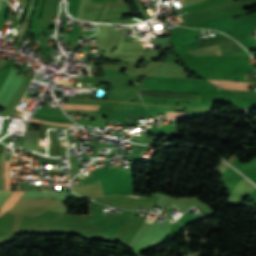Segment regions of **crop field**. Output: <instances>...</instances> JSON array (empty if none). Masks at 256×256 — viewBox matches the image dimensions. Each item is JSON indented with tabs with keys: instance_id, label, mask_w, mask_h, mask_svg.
Listing matches in <instances>:
<instances>
[{
	"instance_id": "1",
	"label": "crop field",
	"mask_w": 256,
	"mask_h": 256,
	"mask_svg": "<svg viewBox=\"0 0 256 256\" xmlns=\"http://www.w3.org/2000/svg\"><path fill=\"white\" fill-rule=\"evenodd\" d=\"M188 51L196 56L222 55L218 45L196 48V49H192V50H188Z\"/></svg>"
},
{
	"instance_id": "2",
	"label": "crop field",
	"mask_w": 256,
	"mask_h": 256,
	"mask_svg": "<svg viewBox=\"0 0 256 256\" xmlns=\"http://www.w3.org/2000/svg\"><path fill=\"white\" fill-rule=\"evenodd\" d=\"M210 81L218 84V86H221V87L241 88V89H246L247 84H250V83H244V82L215 81V80H210Z\"/></svg>"
},
{
	"instance_id": "3",
	"label": "crop field",
	"mask_w": 256,
	"mask_h": 256,
	"mask_svg": "<svg viewBox=\"0 0 256 256\" xmlns=\"http://www.w3.org/2000/svg\"><path fill=\"white\" fill-rule=\"evenodd\" d=\"M189 113H184V112H166L165 118H170V119H183V118H188Z\"/></svg>"
},
{
	"instance_id": "4",
	"label": "crop field",
	"mask_w": 256,
	"mask_h": 256,
	"mask_svg": "<svg viewBox=\"0 0 256 256\" xmlns=\"http://www.w3.org/2000/svg\"><path fill=\"white\" fill-rule=\"evenodd\" d=\"M13 191H0V207Z\"/></svg>"
},
{
	"instance_id": "5",
	"label": "crop field",
	"mask_w": 256,
	"mask_h": 256,
	"mask_svg": "<svg viewBox=\"0 0 256 256\" xmlns=\"http://www.w3.org/2000/svg\"><path fill=\"white\" fill-rule=\"evenodd\" d=\"M184 6L192 5L205 0H181Z\"/></svg>"
},
{
	"instance_id": "6",
	"label": "crop field",
	"mask_w": 256,
	"mask_h": 256,
	"mask_svg": "<svg viewBox=\"0 0 256 256\" xmlns=\"http://www.w3.org/2000/svg\"><path fill=\"white\" fill-rule=\"evenodd\" d=\"M3 147V144L0 143V151H1V148ZM1 154V153H0Z\"/></svg>"
},
{
	"instance_id": "7",
	"label": "crop field",
	"mask_w": 256,
	"mask_h": 256,
	"mask_svg": "<svg viewBox=\"0 0 256 256\" xmlns=\"http://www.w3.org/2000/svg\"><path fill=\"white\" fill-rule=\"evenodd\" d=\"M123 123V122H122Z\"/></svg>"
}]
</instances>
